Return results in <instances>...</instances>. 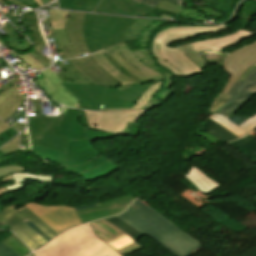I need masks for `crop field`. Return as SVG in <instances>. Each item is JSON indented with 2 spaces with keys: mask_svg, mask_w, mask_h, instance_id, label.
Segmentation results:
<instances>
[{
  "mask_svg": "<svg viewBox=\"0 0 256 256\" xmlns=\"http://www.w3.org/2000/svg\"><path fill=\"white\" fill-rule=\"evenodd\" d=\"M6 64L3 62L1 65H0V69L5 66Z\"/></svg>",
  "mask_w": 256,
  "mask_h": 256,
  "instance_id": "56",
  "label": "crop field"
},
{
  "mask_svg": "<svg viewBox=\"0 0 256 256\" xmlns=\"http://www.w3.org/2000/svg\"><path fill=\"white\" fill-rule=\"evenodd\" d=\"M101 242L93 235L90 226L85 224L68 230L34 254L36 256H120Z\"/></svg>",
  "mask_w": 256,
  "mask_h": 256,
  "instance_id": "6",
  "label": "crop field"
},
{
  "mask_svg": "<svg viewBox=\"0 0 256 256\" xmlns=\"http://www.w3.org/2000/svg\"><path fill=\"white\" fill-rule=\"evenodd\" d=\"M49 12H50L52 28L53 29L65 28V20L69 12L56 10V9H49Z\"/></svg>",
  "mask_w": 256,
  "mask_h": 256,
  "instance_id": "34",
  "label": "crop field"
},
{
  "mask_svg": "<svg viewBox=\"0 0 256 256\" xmlns=\"http://www.w3.org/2000/svg\"><path fill=\"white\" fill-rule=\"evenodd\" d=\"M135 198L131 195L123 196L111 201L98 204L99 207L76 211L81 223L114 216L122 213Z\"/></svg>",
  "mask_w": 256,
  "mask_h": 256,
  "instance_id": "12",
  "label": "crop field"
},
{
  "mask_svg": "<svg viewBox=\"0 0 256 256\" xmlns=\"http://www.w3.org/2000/svg\"><path fill=\"white\" fill-rule=\"evenodd\" d=\"M131 1L154 8L160 0H131ZM167 1L173 4H176L182 8H183L182 3L185 2L183 0H167Z\"/></svg>",
  "mask_w": 256,
  "mask_h": 256,
  "instance_id": "40",
  "label": "crop field"
},
{
  "mask_svg": "<svg viewBox=\"0 0 256 256\" xmlns=\"http://www.w3.org/2000/svg\"><path fill=\"white\" fill-rule=\"evenodd\" d=\"M0 256H20L3 242L0 243Z\"/></svg>",
  "mask_w": 256,
  "mask_h": 256,
  "instance_id": "42",
  "label": "crop field"
},
{
  "mask_svg": "<svg viewBox=\"0 0 256 256\" xmlns=\"http://www.w3.org/2000/svg\"><path fill=\"white\" fill-rule=\"evenodd\" d=\"M16 132L14 129L10 128L2 133H0V146L3 145L7 140L14 136ZM17 135V134H16ZM13 138V137H12Z\"/></svg>",
  "mask_w": 256,
  "mask_h": 256,
  "instance_id": "43",
  "label": "crop field"
},
{
  "mask_svg": "<svg viewBox=\"0 0 256 256\" xmlns=\"http://www.w3.org/2000/svg\"><path fill=\"white\" fill-rule=\"evenodd\" d=\"M256 67V63L254 65H252L250 68H248L239 78L240 81H242L244 79V77L250 72L252 71L254 68Z\"/></svg>",
  "mask_w": 256,
  "mask_h": 256,
  "instance_id": "46",
  "label": "crop field"
},
{
  "mask_svg": "<svg viewBox=\"0 0 256 256\" xmlns=\"http://www.w3.org/2000/svg\"><path fill=\"white\" fill-rule=\"evenodd\" d=\"M228 145L250 159L252 162H256V140L250 135L238 141L229 142Z\"/></svg>",
  "mask_w": 256,
  "mask_h": 256,
  "instance_id": "22",
  "label": "crop field"
},
{
  "mask_svg": "<svg viewBox=\"0 0 256 256\" xmlns=\"http://www.w3.org/2000/svg\"><path fill=\"white\" fill-rule=\"evenodd\" d=\"M105 220L110 222V223H112L113 225L117 226L118 228H120L121 230L126 232L128 235H130L135 240L139 239L143 235L142 233L137 231L135 228H133L132 226L128 225L124 221L120 220L116 216L111 217V218H107Z\"/></svg>",
  "mask_w": 256,
  "mask_h": 256,
  "instance_id": "33",
  "label": "crop field"
},
{
  "mask_svg": "<svg viewBox=\"0 0 256 256\" xmlns=\"http://www.w3.org/2000/svg\"><path fill=\"white\" fill-rule=\"evenodd\" d=\"M35 1H36V3L39 4L40 6L43 5L42 2H41V0H35Z\"/></svg>",
  "mask_w": 256,
  "mask_h": 256,
  "instance_id": "53",
  "label": "crop field"
},
{
  "mask_svg": "<svg viewBox=\"0 0 256 256\" xmlns=\"http://www.w3.org/2000/svg\"><path fill=\"white\" fill-rule=\"evenodd\" d=\"M37 23L35 11L22 14V24L34 42L35 47L45 44Z\"/></svg>",
  "mask_w": 256,
  "mask_h": 256,
  "instance_id": "21",
  "label": "crop field"
},
{
  "mask_svg": "<svg viewBox=\"0 0 256 256\" xmlns=\"http://www.w3.org/2000/svg\"><path fill=\"white\" fill-rule=\"evenodd\" d=\"M53 133L60 134L76 140L88 138L94 140H107L115 136L91 130L87 126L83 110L68 108L60 127L56 126Z\"/></svg>",
  "mask_w": 256,
  "mask_h": 256,
  "instance_id": "9",
  "label": "crop field"
},
{
  "mask_svg": "<svg viewBox=\"0 0 256 256\" xmlns=\"http://www.w3.org/2000/svg\"><path fill=\"white\" fill-rule=\"evenodd\" d=\"M10 126L0 120V132L8 129Z\"/></svg>",
  "mask_w": 256,
  "mask_h": 256,
  "instance_id": "47",
  "label": "crop field"
},
{
  "mask_svg": "<svg viewBox=\"0 0 256 256\" xmlns=\"http://www.w3.org/2000/svg\"><path fill=\"white\" fill-rule=\"evenodd\" d=\"M155 8L160 9V10H164V11H168V12H172V13H176V14H179V15L184 10V9H182L178 6H175V5H173L169 2H166L164 0H161Z\"/></svg>",
  "mask_w": 256,
  "mask_h": 256,
  "instance_id": "37",
  "label": "crop field"
},
{
  "mask_svg": "<svg viewBox=\"0 0 256 256\" xmlns=\"http://www.w3.org/2000/svg\"><path fill=\"white\" fill-rule=\"evenodd\" d=\"M58 66L61 70V73L57 74L59 79L62 82H70V83H79V84H87V85H95L81 73H79L76 68L66 71L60 62L53 64Z\"/></svg>",
  "mask_w": 256,
  "mask_h": 256,
  "instance_id": "28",
  "label": "crop field"
},
{
  "mask_svg": "<svg viewBox=\"0 0 256 256\" xmlns=\"http://www.w3.org/2000/svg\"><path fill=\"white\" fill-rule=\"evenodd\" d=\"M231 96L225 95L223 93H219L218 96L215 98L213 103L210 105L207 111L215 112L218 108H220L227 100H229Z\"/></svg>",
  "mask_w": 256,
  "mask_h": 256,
  "instance_id": "38",
  "label": "crop field"
},
{
  "mask_svg": "<svg viewBox=\"0 0 256 256\" xmlns=\"http://www.w3.org/2000/svg\"><path fill=\"white\" fill-rule=\"evenodd\" d=\"M148 110L84 111L89 128L119 136L136 137L141 130L136 120Z\"/></svg>",
  "mask_w": 256,
  "mask_h": 256,
  "instance_id": "8",
  "label": "crop field"
},
{
  "mask_svg": "<svg viewBox=\"0 0 256 256\" xmlns=\"http://www.w3.org/2000/svg\"><path fill=\"white\" fill-rule=\"evenodd\" d=\"M200 128L212 133L214 136L223 140L225 143L239 138L209 118Z\"/></svg>",
  "mask_w": 256,
  "mask_h": 256,
  "instance_id": "27",
  "label": "crop field"
},
{
  "mask_svg": "<svg viewBox=\"0 0 256 256\" xmlns=\"http://www.w3.org/2000/svg\"><path fill=\"white\" fill-rule=\"evenodd\" d=\"M32 229H34L38 234H40L44 239H46L48 242L51 240L45 233H43L39 228H37L33 223L30 221L26 222Z\"/></svg>",
  "mask_w": 256,
  "mask_h": 256,
  "instance_id": "44",
  "label": "crop field"
},
{
  "mask_svg": "<svg viewBox=\"0 0 256 256\" xmlns=\"http://www.w3.org/2000/svg\"><path fill=\"white\" fill-rule=\"evenodd\" d=\"M35 154L47 162L60 166L82 177L88 183L108 177L120 170L105 156L99 153L88 139L69 142L65 161Z\"/></svg>",
  "mask_w": 256,
  "mask_h": 256,
  "instance_id": "5",
  "label": "crop field"
},
{
  "mask_svg": "<svg viewBox=\"0 0 256 256\" xmlns=\"http://www.w3.org/2000/svg\"><path fill=\"white\" fill-rule=\"evenodd\" d=\"M53 120L35 118V120H29V134L31 145L38 142L42 135L51 126Z\"/></svg>",
  "mask_w": 256,
  "mask_h": 256,
  "instance_id": "25",
  "label": "crop field"
},
{
  "mask_svg": "<svg viewBox=\"0 0 256 256\" xmlns=\"http://www.w3.org/2000/svg\"><path fill=\"white\" fill-rule=\"evenodd\" d=\"M8 162V159L0 153V165Z\"/></svg>",
  "mask_w": 256,
  "mask_h": 256,
  "instance_id": "51",
  "label": "crop field"
},
{
  "mask_svg": "<svg viewBox=\"0 0 256 256\" xmlns=\"http://www.w3.org/2000/svg\"><path fill=\"white\" fill-rule=\"evenodd\" d=\"M7 33L3 34L4 38L8 41V47L16 49L18 51H27L30 50L31 45L24 39H21L17 32L12 28L8 23L5 24L2 28Z\"/></svg>",
  "mask_w": 256,
  "mask_h": 256,
  "instance_id": "24",
  "label": "crop field"
},
{
  "mask_svg": "<svg viewBox=\"0 0 256 256\" xmlns=\"http://www.w3.org/2000/svg\"><path fill=\"white\" fill-rule=\"evenodd\" d=\"M134 19L70 12L66 32L77 57L123 43V33Z\"/></svg>",
  "mask_w": 256,
  "mask_h": 256,
  "instance_id": "2",
  "label": "crop field"
},
{
  "mask_svg": "<svg viewBox=\"0 0 256 256\" xmlns=\"http://www.w3.org/2000/svg\"><path fill=\"white\" fill-rule=\"evenodd\" d=\"M256 62V42L242 47L225 56L223 72L231 75L221 92L227 94L234 82L252 64Z\"/></svg>",
  "mask_w": 256,
  "mask_h": 256,
  "instance_id": "11",
  "label": "crop field"
},
{
  "mask_svg": "<svg viewBox=\"0 0 256 256\" xmlns=\"http://www.w3.org/2000/svg\"><path fill=\"white\" fill-rule=\"evenodd\" d=\"M43 4H47L48 2H50V0H42Z\"/></svg>",
  "mask_w": 256,
  "mask_h": 256,
  "instance_id": "55",
  "label": "crop field"
},
{
  "mask_svg": "<svg viewBox=\"0 0 256 256\" xmlns=\"http://www.w3.org/2000/svg\"><path fill=\"white\" fill-rule=\"evenodd\" d=\"M228 29L230 27L226 25L186 26L170 27L159 32L153 40L152 51L159 63L166 66L169 72L155 65L149 56V50L129 51L126 44L117 45L88 57L70 59V62L79 72L100 86H111L123 91L134 83L165 80L163 87L169 88L175 76L187 77L202 72L206 63L200 55L201 52H219L252 36L253 33L239 29L220 38L188 43L174 48L168 46L177 41Z\"/></svg>",
  "mask_w": 256,
  "mask_h": 256,
  "instance_id": "1",
  "label": "crop field"
},
{
  "mask_svg": "<svg viewBox=\"0 0 256 256\" xmlns=\"http://www.w3.org/2000/svg\"><path fill=\"white\" fill-rule=\"evenodd\" d=\"M196 8H198V7H196ZM198 9H200L198 12L194 11V10L185 9L183 11V13L181 14V16H183L186 19L192 18V19H195L200 22L213 20L215 18H220V17L225 16L224 14H220L214 10H205L202 8H198Z\"/></svg>",
  "mask_w": 256,
  "mask_h": 256,
  "instance_id": "30",
  "label": "crop field"
},
{
  "mask_svg": "<svg viewBox=\"0 0 256 256\" xmlns=\"http://www.w3.org/2000/svg\"><path fill=\"white\" fill-rule=\"evenodd\" d=\"M249 91L256 92V86H254L253 88H251Z\"/></svg>",
  "mask_w": 256,
  "mask_h": 256,
  "instance_id": "54",
  "label": "crop field"
},
{
  "mask_svg": "<svg viewBox=\"0 0 256 256\" xmlns=\"http://www.w3.org/2000/svg\"><path fill=\"white\" fill-rule=\"evenodd\" d=\"M188 178L198 189L209 193L210 191L218 188L220 185L213 181L209 176H207L204 172L197 169L196 167H192L190 171L185 176ZM205 193V194H206Z\"/></svg>",
  "mask_w": 256,
  "mask_h": 256,
  "instance_id": "20",
  "label": "crop field"
},
{
  "mask_svg": "<svg viewBox=\"0 0 256 256\" xmlns=\"http://www.w3.org/2000/svg\"><path fill=\"white\" fill-rule=\"evenodd\" d=\"M90 226L97 238L109 244L116 250L135 242L134 239L129 237L123 231L103 219L91 222Z\"/></svg>",
  "mask_w": 256,
  "mask_h": 256,
  "instance_id": "13",
  "label": "crop field"
},
{
  "mask_svg": "<svg viewBox=\"0 0 256 256\" xmlns=\"http://www.w3.org/2000/svg\"><path fill=\"white\" fill-rule=\"evenodd\" d=\"M16 55L36 70H41L50 66L48 62L35 49H33V51L29 54Z\"/></svg>",
  "mask_w": 256,
  "mask_h": 256,
  "instance_id": "31",
  "label": "crop field"
},
{
  "mask_svg": "<svg viewBox=\"0 0 256 256\" xmlns=\"http://www.w3.org/2000/svg\"><path fill=\"white\" fill-rule=\"evenodd\" d=\"M12 181L11 175H8L4 177L2 180H0V184L3 182ZM8 191L3 187L0 189V195L7 193Z\"/></svg>",
  "mask_w": 256,
  "mask_h": 256,
  "instance_id": "45",
  "label": "crop field"
},
{
  "mask_svg": "<svg viewBox=\"0 0 256 256\" xmlns=\"http://www.w3.org/2000/svg\"><path fill=\"white\" fill-rule=\"evenodd\" d=\"M38 217L61 234L80 223L73 207L25 204Z\"/></svg>",
  "mask_w": 256,
  "mask_h": 256,
  "instance_id": "10",
  "label": "crop field"
},
{
  "mask_svg": "<svg viewBox=\"0 0 256 256\" xmlns=\"http://www.w3.org/2000/svg\"><path fill=\"white\" fill-rule=\"evenodd\" d=\"M20 1L21 3L25 4L26 6H28L29 8L31 9H34L36 8L34 5H32L31 3H29L27 0H18Z\"/></svg>",
  "mask_w": 256,
  "mask_h": 256,
  "instance_id": "48",
  "label": "crop field"
},
{
  "mask_svg": "<svg viewBox=\"0 0 256 256\" xmlns=\"http://www.w3.org/2000/svg\"><path fill=\"white\" fill-rule=\"evenodd\" d=\"M1 73V72H0Z\"/></svg>",
  "mask_w": 256,
  "mask_h": 256,
  "instance_id": "60",
  "label": "crop field"
},
{
  "mask_svg": "<svg viewBox=\"0 0 256 256\" xmlns=\"http://www.w3.org/2000/svg\"><path fill=\"white\" fill-rule=\"evenodd\" d=\"M42 73L46 78L35 82L43 87L48 96L65 106L78 108L79 101L58 83L61 81L50 69L44 70Z\"/></svg>",
  "mask_w": 256,
  "mask_h": 256,
  "instance_id": "15",
  "label": "crop field"
},
{
  "mask_svg": "<svg viewBox=\"0 0 256 256\" xmlns=\"http://www.w3.org/2000/svg\"><path fill=\"white\" fill-rule=\"evenodd\" d=\"M14 185L5 187L8 191L21 190L25 186V179L44 181L52 183L54 176L38 175L32 173H14L12 174Z\"/></svg>",
  "mask_w": 256,
  "mask_h": 256,
  "instance_id": "23",
  "label": "crop field"
},
{
  "mask_svg": "<svg viewBox=\"0 0 256 256\" xmlns=\"http://www.w3.org/2000/svg\"><path fill=\"white\" fill-rule=\"evenodd\" d=\"M25 168L18 165H6L0 167V178L13 173V172H24Z\"/></svg>",
  "mask_w": 256,
  "mask_h": 256,
  "instance_id": "39",
  "label": "crop field"
},
{
  "mask_svg": "<svg viewBox=\"0 0 256 256\" xmlns=\"http://www.w3.org/2000/svg\"><path fill=\"white\" fill-rule=\"evenodd\" d=\"M155 9L148 8L127 0H102L95 12L143 16Z\"/></svg>",
  "mask_w": 256,
  "mask_h": 256,
  "instance_id": "16",
  "label": "crop field"
},
{
  "mask_svg": "<svg viewBox=\"0 0 256 256\" xmlns=\"http://www.w3.org/2000/svg\"><path fill=\"white\" fill-rule=\"evenodd\" d=\"M97 205L96 204H90V205H85V206H79V207H74L75 210H78V209H84V208H90V207H96Z\"/></svg>",
  "mask_w": 256,
  "mask_h": 256,
  "instance_id": "50",
  "label": "crop field"
},
{
  "mask_svg": "<svg viewBox=\"0 0 256 256\" xmlns=\"http://www.w3.org/2000/svg\"><path fill=\"white\" fill-rule=\"evenodd\" d=\"M161 24L157 23L156 25L150 24L145 29L142 30L140 34V46L141 48H145L148 45L149 37L154 31L155 28H158Z\"/></svg>",
  "mask_w": 256,
  "mask_h": 256,
  "instance_id": "35",
  "label": "crop field"
},
{
  "mask_svg": "<svg viewBox=\"0 0 256 256\" xmlns=\"http://www.w3.org/2000/svg\"><path fill=\"white\" fill-rule=\"evenodd\" d=\"M209 118L218 122L240 138L256 129V113L244 123H242L239 127L230 123L231 121L229 122L228 119L222 115H212Z\"/></svg>",
  "mask_w": 256,
  "mask_h": 256,
  "instance_id": "19",
  "label": "crop field"
},
{
  "mask_svg": "<svg viewBox=\"0 0 256 256\" xmlns=\"http://www.w3.org/2000/svg\"><path fill=\"white\" fill-rule=\"evenodd\" d=\"M164 81L134 84L121 92L111 87L61 83L80 100L79 108L90 110L141 109Z\"/></svg>",
  "mask_w": 256,
  "mask_h": 256,
  "instance_id": "4",
  "label": "crop field"
},
{
  "mask_svg": "<svg viewBox=\"0 0 256 256\" xmlns=\"http://www.w3.org/2000/svg\"><path fill=\"white\" fill-rule=\"evenodd\" d=\"M147 235L173 256H189L201 245L140 199L117 216Z\"/></svg>",
  "mask_w": 256,
  "mask_h": 256,
  "instance_id": "3",
  "label": "crop field"
},
{
  "mask_svg": "<svg viewBox=\"0 0 256 256\" xmlns=\"http://www.w3.org/2000/svg\"><path fill=\"white\" fill-rule=\"evenodd\" d=\"M15 85L0 93V118L5 122L22 104V95H19Z\"/></svg>",
  "mask_w": 256,
  "mask_h": 256,
  "instance_id": "18",
  "label": "crop field"
},
{
  "mask_svg": "<svg viewBox=\"0 0 256 256\" xmlns=\"http://www.w3.org/2000/svg\"><path fill=\"white\" fill-rule=\"evenodd\" d=\"M53 34L55 36L56 41H58L59 47L55 48L57 54L61 56V59H67V58H74L76 57L75 53L73 52L69 41L67 34L65 32V29L61 30H53Z\"/></svg>",
  "mask_w": 256,
  "mask_h": 256,
  "instance_id": "26",
  "label": "crop field"
},
{
  "mask_svg": "<svg viewBox=\"0 0 256 256\" xmlns=\"http://www.w3.org/2000/svg\"><path fill=\"white\" fill-rule=\"evenodd\" d=\"M28 1H30V2H31L32 4H34V5L36 4V3L34 2V0H28Z\"/></svg>",
  "mask_w": 256,
  "mask_h": 256,
  "instance_id": "57",
  "label": "crop field"
},
{
  "mask_svg": "<svg viewBox=\"0 0 256 256\" xmlns=\"http://www.w3.org/2000/svg\"><path fill=\"white\" fill-rule=\"evenodd\" d=\"M4 0H0V4H3V3H5V2H3ZM9 1H11V0H9Z\"/></svg>",
  "mask_w": 256,
  "mask_h": 256,
  "instance_id": "58",
  "label": "crop field"
},
{
  "mask_svg": "<svg viewBox=\"0 0 256 256\" xmlns=\"http://www.w3.org/2000/svg\"><path fill=\"white\" fill-rule=\"evenodd\" d=\"M30 256H35L33 253Z\"/></svg>",
  "mask_w": 256,
  "mask_h": 256,
  "instance_id": "59",
  "label": "crop field"
},
{
  "mask_svg": "<svg viewBox=\"0 0 256 256\" xmlns=\"http://www.w3.org/2000/svg\"><path fill=\"white\" fill-rule=\"evenodd\" d=\"M254 85H256V68L251 73H249L242 82H235L233 87L228 92V95L233 97L216 112L232 114L253 94L247 90Z\"/></svg>",
  "mask_w": 256,
  "mask_h": 256,
  "instance_id": "14",
  "label": "crop field"
},
{
  "mask_svg": "<svg viewBox=\"0 0 256 256\" xmlns=\"http://www.w3.org/2000/svg\"><path fill=\"white\" fill-rule=\"evenodd\" d=\"M41 47V46H40ZM40 47H36L35 49L42 55L41 51H40ZM43 56V55H42ZM44 57V56H43ZM49 63H50V59L47 57H44Z\"/></svg>",
  "mask_w": 256,
  "mask_h": 256,
  "instance_id": "52",
  "label": "crop field"
},
{
  "mask_svg": "<svg viewBox=\"0 0 256 256\" xmlns=\"http://www.w3.org/2000/svg\"><path fill=\"white\" fill-rule=\"evenodd\" d=\"M35 103V113L37 117H40V101L34 100ZM67 108L62 107L61 115L56 118H49L55 119L53 125L49 128V130L43 135V137L37 143V146L65 152L67 150L68 141H73V139H69L60 135H56L51 133L52 130L55 128L56 125H60L62 118L66 112Z\"/></svg>",
  "mask_w": 256,
  "mask_h": 256,
  "instance_id": "17",
  "label": "crop field"
},
{
  "mask_svg": "<svg viewBox=\"0 0 256 256\" xmlns=\"http://www.w3.org/2000/svg\"><path fill=\"white\" fill-rule=\"evenodd\" d=\"M18 140H19V135L16 136L14 139H12L10 142H8L5 146H3L0 149L2 154L6 155L11 152L17 151L18 150Z\"/></svg>",
  "mask_w": 256,
  "mask_h": 256,
  "instance_id": "41",
  "label": "crop field"
},
{
  "mask_svg": "<svg viewBox=\"0 0 256 256\" xmlns=\"http://www.w3.org/2000/svg\"><path fill=\"white\" fill-rule=\"evenodd\" d=\"M153 20L137 19L125 32V41L138 39L141 29L145 28Z\"/></svg>",
  "mask_w": 256,
  "mask_h": 256,
  "instance_id": "32",
  "label": "crop field"
},
{
  "mask_svg": "<svg viewBox=\"0 0 256 256\" xmlns=\"http://www.w3.org/2000/svg\"><path fill=\"white\" fill-rule=\"evenodd\" d=\"M57 2L59 8L93 12L100 0H57Z\"/></svg>",
  "mask_w": 256,
  "mask_h": 256,
  "instance_id": "29",
  "label": "crop field"
},
{
  "mask_svg": "<svg viewBox=\"0 0 256 256\" xmlns=\"http://www.w3.org/2000/svg\"><path fill=\"white\" fill-rule=\"evenodd\" d=\"M6 16L11 20L13 24H18L19 22L15 18V16H11L10 13L6 14Z\"/></svg>",
  "mask_w": 256,
  "mask_h": 256,
  "instance_id": "49",
  "label": "crop field"
},
{
  "mask_svg": "<svg viewBox=\"0 0 256 256\" xmlns=\"http://www.w3.org/2000/svg\"><path fill=\"white\" fill-rule=\"evenodd\" d=\"M17 204L6 206L0 210V223H4L11 227L16 235L32 250L43 246L48 243L35 231H33L24 222L30 220L43 232H45L52 239L58 235L52 228L38 218L33 212H31L25 206L15 209ZM9 227V228H10Z\"/></svg>",
  "mask_w": 256,
  "mask_h": 256,
  "instance_id": "7",
  "label": "crop field"
},
{
  "mask_svg": "<svg viewBox=\"0 0 256 256\" xmlns=\"http://www.w3.org/2000/svg\"><path fill=\"white\" fill-rule=\"evenodd\" d=\"M31 150L43 155H47V156H51V157H55L63 160L65 159V155H66L65 153H61V152H57V151H53V150H49V149H45L37 146L31 147Z\"/></svg>",
  "mask_w": 256,
  "mask_h": 256,
  "instance_id": "36",
  "label": "crop field"
}]
</instances>
